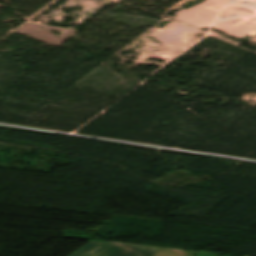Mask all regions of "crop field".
Wrapping results in <instances>:
<instances>
[{"label":"crop field","instance_id":"crop-field-1","mask_svg":"<svg viewBox=\"0 0 256 256\" xmlns=\"http://www.w3.org/2000/svg\"><path fill=\"white\" fill-rule=\"evenodd\" d=\"M193 256L191 252L91 241L70 256Z\"/></svg>","mask_w":256,"mask_h":256}]
</instances>
